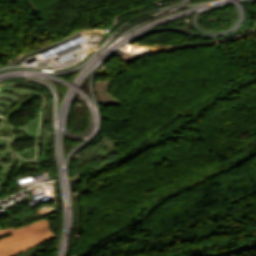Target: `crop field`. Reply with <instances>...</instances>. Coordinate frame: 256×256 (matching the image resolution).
I'll return each mask as SVG.
<instances>
[{
    "mask_svg": "<svg viewBox=\"0 0 256 256\" xmlns=\"http://www.w3.org/2000/svg\"><path fill=\"white\" fill-rule=\"evenodd\" d=\"M11 233L13 236L0 239V256H7L26 246L53 236L48 220H40L20 228L0 229V235Z\"/></svg>",
    "mask_w": 256,
    "mask_h": 256,
    "instance_id": "1",
    "label": "crop field"
},
{
    "mask_svg": "<svg viewBox=\"0 0 256 256\" xmlns=\"http://www.w3.org/2000/svg\"><path fill=\"white\" fill-rule=\"evenodd\" d=\"M54 237H56V236H54ZM54 237H52V238H54ZM52 238H50V239H52ZM50 239H47V240H45V241H43V242H46V241H48V240H50ZM43 242H41V243H43ZM41 243H39V244H41ZM39 244H36V245L30 246V247H27V248H25V249H22V250H20V251H18V252H16V253H13V254L9 255V256H14V255L19 254V253H21V252L27 251V250H29V249H31V248H33V247L39 245Z\"/></svg>",
    "mask_w": 256,
    "mask_h": 256,
    "instance_id": "2",
    "label": "crop field"
}]
</instances>
